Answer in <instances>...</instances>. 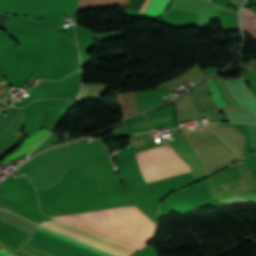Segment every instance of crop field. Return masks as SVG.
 Listing matches in <instances>:
<instances>
[{
	"mask_svg": "<svg viewBox=\"0 0 256 256\" xmlns=\"http://www.w3.org/2000/svg\"><path fill=\"white\" fill-rule=\"evenodd\" d=\"M241 19H242L243 23L256 28V13H254L248 9H243L241 11ZM243 23H242V26H243L244 31H246L247 33L252 35L254 38H256V29H254L250 26H247Z\"/></svg>",
	"mask_w": 256,
	"mask_h": 256,
	"instance_id": "crop-field-4",
	"label": "crop field"
},
{
	"mask_svg": "<svg viewBox=\"0 0 256 256\" xmlns=\"http://www.w3.org/2000/svg\"><path fill=\"white\" fill-rule=\"evenodd\" d=\"M40 226H42V227H44V228H47V229H49V230H52V231H54V232H56V233H59V234H61V235H63V236H66V237H68V238H71V239H73V240H75V241H78V242H80V243H82V244H85V245H87V246H89V247H92V248H94V249H97V250H99V251H101V252H104V253H106V254H108V255H111V256H121V255H118V254H116V253H113V252H111V251H109V250H106V249H104V248H102V247H99V246H97V245H94V244H92V243H90V242H87V241H85V240H83V239H80V238H78V237H76V236H73V235L68 234V233H66V232H64V231H61V230H59V229H57V228H54V227H52V226H49V225H47V224H45V223L40 224ZM40 226L37 227V230H38V231H42V232H44V233H47V234H49V235H51V236H54V237H56V238H59V239H61V240H63V241H66V242H68V243H71V244H73V245H75V246H78V247H80V248H83V249H85V250H87V251H90V252H92V253H95V254H97V255H99V256H108V255H106V254H104V253H101V252H99V251H97V250H94V249H92V248H89V247H87V246H85V245H82V244H80V243H78V242H75V241H73V240H71V239H68V238L63 237V236H61V235H59V234H56V233H54V232H52V231H49V230H47V229H44V228H42V227H40Z\"/></svg>",
	"mask_w": 256,
	"mask_h": 256,
	"instance_id": "crop-field-2",
	"label": "crop field"
},
{
	"mask_svg": "<svg viewBox=\"0 0 256 256\" xmlns=\"http://www.w3.org/2000/svg\"><path fill=\"white\" fill-rule=\"evenodd\" d=\"M174 158H178V156L167 145L136 153V159L140 169L167 162ZM140 171L147 184L168 176L190 172L189 166L181 159L141 169Z\"/></svg>",
	"mask_w": 256,
	"mask_h": 256,
	"instance_id": "crop-field-1",
	"label": "crop field"
},
{
	"mask_svg": "<svg viewBox=\"0 0 256 256\" xmlns=\"http://www.w3.org/2000/svg\"><path fill=\"white\" fill-rule=\"evenodd\" d=\"M169 2L170 0H150L143 12L160 16Z\"/></svg>",
	"mask_w": 256,
	"mask_h": 256,
	"instance_id": "crop-field-5",
	"label": "crop field"
},
{
	"mask_svg": "<svg viewBox=\"0 0 256 256\" xmlns=\"http://www.w3.org/2000/svg\"><path fill=\"white\" fill-rule=\"evenodd\" d=\"M1 250H3L2 248H1ZM0 250V256H17V255H13V254H11V253H9V252H3V251H5V250H3V251H1Z\"/></svg>",
	"mask_w": 256,
	"mask_h": 256,
	"instance_id": "crop-field-7",
	"label": "crop field"
},
{
	"mask_svg": "<svg viewBox=\"0 0 256 256\" xmlns=\"http://www.w3.org/2000/svg\"><path fill=\"white\" fill-rule=\"evenodd\" d=\"M4 83L0 81V86H2Z\"/></svg>",
	"mask_w": 256,
	"mask_h": 256,
	"instance_id": "crop-field-8",
	"label": "crop field"
},
{
	"mask_svg": "<svg viewBox=\"0 0 256 256\" xmlns=\"http://www.w3.org/2000/svg\"><path fill=\"white\" fill-rule=\"evenodd\" d=\"M127 0H81L78 10L87 8L124 7Z\"/></svg>",
	"mask_w": 256,
	"mask_h": 256,
	"instance_id": "crop-field-3",
	"label": "crop field"
},
{
	"mask_svg": "<svg viewBox=\"0 0 256 256\" xmlns=\"http://www.w3.org/2000/svg\"><path fill=\"white\" fill-rule=\"evenodd\" d=\"M206 82L209 85L211 99L215 102L216 106L219 107L226 105L227 102L225 101L224 97L220 93L212 78H209Z\"/></svg>",
	"mask_w": 256,
	"mask_h": 256,
	"instance_id": "crop-field-6",
	"label": "crop field"
}]
</instances>
